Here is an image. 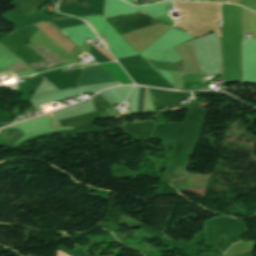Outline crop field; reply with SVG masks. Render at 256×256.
Listing matches in <instances>:
<instances>
[{
    "instance_id": "crop-field-2",
    "label": "crop field",
    "mask_w": 256,
    "mask_h": 256,
    "mask_svg": "<svg viewBox=\"0 0 256 256\" xmlns=\"http://www.w3.org/2000/svg\"><path fill=\"white\" fill-rule=\"evenodd\" d=\"M114 81L116 80L103 68H101L99 65H95L92 67H86L85 71L80 77L78 86Z\"/></svg>"
},
{
    "instance_id": "crop-field-8",
    "label": "crop field",
    "mask_w": 256,
    "mask_h": 256,
    "mask_svg": "<svg viewBox=\"0 0 256 256\" xmlns=\"http://www.w3.org/2000/svg\"><path fill=\"white\" fill-rule=\"evenodd\" d=\"M96 49H98L100 52H102L105 56H107L109 59H111L112 61H114L112 58H111V56L106 52V51H104L103 49H100V48H98V47H96V46H94Z\"/></svg>"
},
{
    "instance_id": "crop-field-7",
    "label": "crop field",
    "mask_w": 256,
    "mask_h": 256,
    "mask_svg": "<svg viewBox=\"0 0 256 256\" xmlns=\"http://www.w3.org/2000/svg\"><path fill=\"white\" fill-rule=\"evenodd\" d=\"M242 5L256 11V0H242Z\"/></svg>"
},
{
    "instance_id": "crop-field-3",
    "label": "crop field",
    "mask_w": 256,
    "mask_h": 256,
    "mask_svg": "<svg viewBox=\"0 0 256 256\" xmlns=\"http://www.w3.org/2000/svg\"><path fill=\"white\" fill-rule=\"evenodd\" d=\"M101 66L105 68L111 75H113L120 82V84H133L129 76L116 62L103 64Z\"/></svg>"
},
{
    "instance_id": "crop-field-1",
    "label": "crop field",
    "mask_w": 256,
    "mask_h": 256,
    "mask_svg": "<svg viewBox=\"0 0 256 256\" xmlns=\"http://www.w3.org/2000/svg\"><path fill=\"white\" fill-rule=\"evenodd\" d=\"M176 9L184 11L186 17L179 20L175 27L188 31L195 37L202 36L208 32L215 31L221 37L216 22V17L220 16L219 4H200V3H174Z\"/></svg>"
},
{
    "instance_id": "crop-field-4",
    "label": "crop field",
    "mask_w": 256,
    "mask_h": 256,
    "mask_svg": "<svg viewBox=\"0 0 256 256\" xmlns=\"http://www.w3.org/2000/svg\"><path fill=\"white\" fill-rule=\"evenodd\" d=\"M31 71H32L31 69H29L27 66H25L23 63L19 61L14 65L10 66L9 68H7L6 70L2 71L0 73V79L3 76L12 75L16 73L22 74V73H27Z\"/></svg>"
},
{
    "instance_id": "crop-field-9",
    "label": "crop field",
    "mask_w": 256,
    "mask_h": 256,
    "mask_svg": "<svg viewBox=\"0 0 256 256\" xmlns=\"http://www.w3.org/2000/svg\"><path fill=\"white\" fill-rule=\"evenodd\" d=\"M130 3H132V0H129Z\"/></svg>"
},
{
    "instance_id": "crop-field-5",
    "label": "crop field",
    "mask_w": 256,
    "mask_h": 256,
    "mask_svg": "<svg viewBox=\"0 0 256 256\" xmlns=\"http://www.w3.org/2000/svg\"><path fill=\"white\" fill-rule=\"evenodd\" d=\"M147 61L151 63L156 69L174 70V71L182 72L181 61L175 64L153 61V60H147Z\"/></svg>"
},
{
    "instance_id": "crop-field-6",
    "label": "crop field",
    "mask_w": 256,
    "mask_h": 256,
    "mask_svg": "<svg viewBox=\"0 0 256 256\" xmlns=\"http://www.w3.org/2000/svg\"><path fill=\"white\" fill-rule=\"evenodd\" d=\"M146 88L141 87L139 113L144 112Z\"/></svg>"
}]
</instances>
